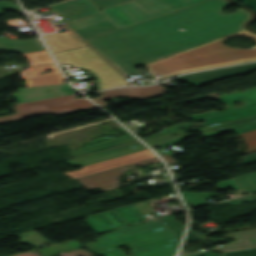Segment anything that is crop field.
<instances>
[{
    "instance_id": "730fd06b",
    "label": "crop field",
    "mask_w": 256,
    "mask_h": 256,
    "mask_svg": "<svg viewBox=\"0 0 256 256\" xmlns=\"http://www.w3.org/2000/svg\"><path fill=\"white\" fill-rule=\"evenodd\" d=\"M23 55L28 58L30 65L46 64V63L53 62V60L51 59L47 51L23 54Z\"/></svg>"
},
{
    "instance_id": "c21b1889",
    "label": "crop field",
    "mask_w": 256,
    "mask_h": 256,
    "mask_svg": "<svg viewBox=\"0 0 256 256\" xmlns=\"http://www.w3.org/2000/svg\"><path fill=\"white\" fill-rule=\"evenodd\" d=\"M161 157H163L168 164L176 162L171 158L169 154L161 155Z\"/></svg>"
},
{
    "instance_id": "00972430",
    "label": "crop field",
    "mask_w": 256,
    "mask_h": 256,
    "mask_svg": "<svg viewBox=\"0 0 256 256\" xmlns=\"http://www.w3.org/2000/svg\"><path fill=\"white\" fill-rule=\"evenodd\" d=\"M64 77L60 74L42 76L34 79L26 80V87L30 86H38V85H46V84H57L64 83Z\"/></svg>"
},
{
    "instance_id": "750c4746",
    "label": "crop field",
    "mask_w": 256,
    "mask_h": 256,
    "mask_svg": "<svg viewBox=\"0 0 256 256\" xmlns=\"http://www.w3.org/2000/svg\"><path fill=\"white\" fill-rule=\"evenodd\" d=\"M189 126H191V125L188 124L187 122H184V123H181V124H178V125H174V126L166 128L163 131H160L158 133L152 134L149 137L143 138V140H148V139H152V138H156V137H160V136H164V135L180 132L179 128L189 127ZM184 131H186V130H184Z\"/></svg>"
},
{
    "instance_id": "dd49c442",
    "label": "crop field",
    "mask_w": 256,
    "mask_h": 256,
    "mask_svg": "<svg viewBox=\"0 0 256 256\" xmlns=\"http://www.w3.org/2000/svg\"><path fill=\"white\" fill-rule=\"evenodd\" d=\"M158 202L155 199L132 204L119 209L102 212L87 216V220L94 231L99 232L143 220H147L143 215L153 213L150 208Z\"/></svg>"
},
{
    "instance_id": "34b2d1b8",
    "label": "crop field",
    "mask_w": 256,
    "mask_h": 256,
    "mask_svg": "<svg viewBox=\"0 0 256 256\" xmlns=\"http://www.w3.org/2000/svg\"><path fill=\"white\" fill-rule=\"evenodd\" d=\"M204 0H134L67 22L84 39Z\"/></svg>"
},
{
    "instance_id": "b54c1fbb",
    "label": "crop field",
    "mask_w": 256,
    "mask_h": 256,
    "mask_svg": "<svg viewBox=\"0 0 256 256\" xmlns=\"http://www.w3.org/2000/svg\"><path fill=\"white\" fill-rule=\"evenodd\" d=\"M246 152H247V154H248V153H252V152H256V149L248 150V151H246Z\"/></svg>"
},
{
    "instance_id": "d3111659",
    "label": "crop field",
    "mask_w": 256,
    "mask_h": 256,
    "mask_svg": "<svg viewBox=\"0 0 256 256\" xmlns=\"http://www.w3.org/2000/svg\"><path fill=\"white\" fill-rule=\"evenodd\" d=\"M173 233L181 238L184 227L172 216H165L159 218Z\"/></svg>"
},
{
    "instance_id": "b80d0937",
    "label": "crop field",
    "mask_w": 256,
    "mask_h": 256,
    "mask_svg": "<svg viewBox=\"0 0 256 256\" xmlns=\"http://www.w3.org/2000/svg\"><path fill=\"white\" fill-rule=\"evenodd\" d=\"M242 1L245 5L256 11V0H238Z\"/></svg>"
},
{
    "instance_id": "22f410ed",
    "label": "crop field",
    "mask_w": 256,
    "mask_h": 256,
    "mask_svg": "<svg viewBox=\"0 0 256 256\" xmlns=\"http://www.w3.org/2000/svg\"><path fill=\"white\" fill-rule=\"evenodd\" d=\"M50 8L59 14L62 23L101 12L90 0H73Z\"/></svg>"
},
{
    "instance_id": "bd1437ed",
    "label": "crop field",
    "mask_w": 256,
    "mask_h": 256,
    "mask_svg": "<svg viewBox=\"0 0 256 256\" xmlns=\"http://www.w3.org/2000/svg\"><path fill=\"white\" fill-rule=\"evenodd\" d=\"M239 135L242 136V138L247 146V150L256 147V130L246 132L243 134H239Z\"/></svg>"
},
{
    "instance_id": "c035e120",
    "label": "crop field",
    "mask_w": 256,
    "mask_h": 256,
    "mask_svg": "<svg viewBox=\"0 0 256 256\" xmlns=\"http://www.w3.org/2000/svg\"><path fill=\"white\" fill-rule=\"evenodd\" d=\"M184 136H186V135L183 134V135H180V136H178V137L172 138V139H170V140L164 141V142L159 143V144H156V145H168V144H170V143H173V142L178 141L180 138H182V137H184ZM151 147H152V146H151Z\"/></svg>"
},
{
    "instance_id": "bc2a9ffb",
    "label": "crop field",
    "mask_w": 256,
    "mask_h": 256,
    "mask_svg": "<svg viewBox=\"0 0 256 256\" xmlns=\"http://www.w3.org/2000/svg\"><path fill=\"white\" fill-rule=\"evenodd\" d=\"M43 38L45 39L52 52L86 45L69 29L66 33L45 35Z\"/></svg>"
},
{
    "instance_id": "d9b57169",
    "label": "crop field",
    "mask_w": 256,
    "mask_h": 256,
    "mask_svg": "<svg viewBox=\"0 0 256 256\" xmlns=\"http://www.w3.org/2000/svg\"><path fill=\"white\" fill-rule=\"evenodd\" d=\"M122 133H124L126 136L120 138H112L106 136L96 138L87 146L81 147L78 150L71 151V154L73 155V157H76L138 141L127 131H124Z\"/></svg>"
},
{
    "instance_id": "412701ff",
    "label": "crop field",
    "mask_w": 256,
    "mask_h": 256,
    "mask_svg": "<svg viewBox=\"0 0 256 256\" xmlns=\"http://www.w3.org/2000/svg\"><path fill=\"white\" fill-rule=\"evenodd\" d=\"M236 35L251 37L256 41L255 33L241 30L186 51L211 67L256 60V49H236L221 43L222 40Z\"/></svg>"
},
{
    "instance_id": "28ad6ade",
    "label": "crop field",
    "mask_w": 256,
    "mask_h": 256,
    "mask_svg": "<svg viewBox=\"0 0 256 256\" xmlns=\"http://www.w3.org/2000/svg\"><path fill=\"white\" fill-rule=\"evenodd\" d=\"M155 156L156 155L153 152H151L149 149H147V150L119 156L116 158L108 159V160L101 161L98 163L90 164L87 166H83L82 167L83 169H80L78 171H72V172H64V174L75 179V178L82 177V176H85L88 174H92V173H95L98 171H102L105 169L129 164V163H132L135 161H139V160H143V159H147V158H151V157H155Z\"/></svg>"
},
{
    "instance_id": "1d83c4d3",
    "label": "crop field",
    "mask_w": 256,
    "mask_h": 256,
    "mask_svg": "<svg viewBox=\"0 0 256 256\" xmlns=\"http://www.w3.org/2000/svg\"><path fill=\"white\" fill-rule=\"evenodd\" d=\"M94 2L100 9L122 4L131 0H91Z\"/></svg>"
},
{
    "instance_id": "03da06ac",
    "label": "crop field",
    "mask_w": 256,
    "mask_h": 256,
    "mask_svg": "<svg viewBox=\"0 0 256 256\" xmlns=\"http://www.w3.org/2000/svg\"><path fill=\"white\" fill-rule=\"evenodd\" d=\"M194 256H222V253L221 254H214V253H211V252L207 251L205 253L194 255Z\"/></svg>"
},
{
    "instance_id": "e1f06a70",
    "label": "crop field",
    "mask_w": 256,
    "mask_h": 256,
    "mask_svg": "<svg viewBox=\"0 0 256 256\" xmlns=\"http://www.w3.org/2000/svg\"><path fill=\"white\" fill-rule=\"evenodd\" d=\"M199 239L201 238L189 228L187 231L184 243L199 240Z\"/></svg>"
},
{
    "instance_id": "ae1a2a85",
    "label": "crop field",
    "mask_w": 256,
    "mask_h": 256,
    "mask_svg": "<svg viewBox=\"0 0 256 256\" xmlns=\"http://www.w3.org/2000/svg\"><path fill=\"white\" fill-rule=\"evenodd\" d=\"M100 89L127 84L120 74L97 80Z\"/></svg>"
},
{
    "instance_id": "3316defc",
    "label": "crop field",
    "mask_w": 256,
    "mask_h": 256,
    "mask_svg": "<svg viewBox=\"0 0 256 256\" xmlns=\"http://www.w3.org/2000/svg\"><path fill=\"white\" fill-rule=\"evenodd\" d=\"M156 162H160V159L157 157L132 164H139L144 166ZM127 166L128 165L105 170L82 178H78V180L87 190L100 187L103 191H105L119 186L118 179L122 174H124L125 168Z\"/></svg>"
},
{
    "instance_id": "d8731c3e",
    "label": "crop field",
    "mask_w": 256,
    "mask_h": 256,
    "mask_svg": "<svg viewBox=\"0 0 256 256\" xmlns=\"http://www.w3.org/2000/svg\"><path fill=\"white\" fill-rule=\"evenodd\" d=\"M58 63L66 62L91 71L95 76L115 74L116 71L88 46L53 53Z\"/></svg>"
},
{
    "instance_id": "028f5c9d",
    "label": "crop field",
    "mask_w": 256,
    "mask_h": 256,
    "mask_svg": "<svg viewBox=\"0 0 256 256\" xmlns=\"http://www.w3.org/2000/svg\"><path fill=\"white\" fill-rule=\"evenodd\" d=\"M235 240L256 234V229L229 233Z\"/></svg>"
},
{
    "instance_id": "dafd665d",
    "label": "crop field",
    "mask_w": 256,
    "mask_h": 256,
    "mask_svg": "<svg viewBox=\"0 0 256 256\" xmlns=\"http://www.w3.org/2000/svg\"><path fill=\"white\" fill-rule=\"evenodd\" d=\"M251 247H256V235L252 236V237L244 238V239H241V240H237V241H234V242H230V243H228L226 245H223V246H219V247H215V248H211V249H206V250L224 252V251L245 249V248H251ZM206 250H200V251H196V252H192V253H188V254H184V255H180V256H190V255L202 253Z\"/></svg>"
},
{
    "instance_id": "4177f3b9",
    "label": "crop field",
    "mask_w": 256,
    "mask_h": 256,
    "mask_svg": "<svg viewBox=\"0 0 256 256\" xmlns=\"http://www.w3.org/2000/svg\"><path fill=\"white\" fill-rule=\"evenodd\" d=\"M21 238V241L23 243L31 244L33 247H40L43 246V244L49 242L46 239H44L42 236L37 234L35 231L23 233L17 235ZM40 236V237H37Z\"/></svg>"
},
{
    "instance_id": "e52e79f7",
    "label": "crop field",
    "mask_w": 256,
    "mask_h": 256,
    "mask_svg": "<svg viewBox=\"0 0 256 256\" xmlns=\"http://www.w3.org/2000/svg\"><path fill=\"white\" fill-rule=\"evenodd\" d=\"M220 99L223 103H228V110L213 111L190 118L194 121L204 119L205 122L199 125L208 126L256 115V88L221 96ZM240 100L246 105L234 108L232 103Z\"/></svg>"
},
{
    "instance_id": "120bbe31",
    "label": "crop field",
    "mask_w": 256,
    "mask_h": 256,
    "mask_svg": "<svg viewBox=\"0 0 256 256\" xmlns=\"http://www.w3.org/2000/svg\"><path fill=\"white\" fill-rule=\"evenodd\" d=\"M223 256H256V248L225 252Z\"/></svg>"
},
{
    "instance_id": "ac0d7876",
    "label": "crop field",
    "mask_w": 256,
    "mask_h": 256,
    "mask_svg": "<svg viewBox=\"0 0 256 256\" xmlns=\"http://www.w3.org/2000/svg\"><path fill=\"white\" fill-rule=\"evenodd\" d=\"M97 242L84 245L92 253L104 256H125L117 247L131 248V256H172L180 239L159 219L116 229L98 237ZM82 247L76 240L39 250L42 255L56 254Z\"/></svg>"
},
{
    "instance_id": "d1516ede",
    "label": "crop field",
    "mask_w": 256,
    "mask_h": 256,
    "mask_svg": "<svg viewBox=\"0 0 256 256\" xmlns=\"http://www.w3.org/2000/svg\"><path fill=\"white\" fill-rule=\"evenodd\" d=\"M244 70H248V71L256 70V63L246 64V65H241V66H236V67H230V68L204 71V72H199V73H193V74L178 76V77H176V79L178 81L197 86V85H201V84L215 81L218 79L237 75Z\"/></svg>"
},
{
    "instance_id": "8a807250",
    "label": "crop field",
    "mask_w": 256,
    "mask_h": 256,
    "mask_svg": "<svg viewBox=\"0 0 256 256\" xmlns=\"http://www.w3.org/2000/svg\"><path fill=\"white\" fill-rule=\"evenodd\" d=\"M230 4L227 0L204 1L85 41L124 76L138 75L141 73L134 65L243 29L250 13L239 8L235 13L221 14Z\"/></svg>"
},
{
    "instance_id": "f4fd0767",
    "label": "crop field",
    "mask_w": 256,
    "mask_h": 256,
    "mask_svg": "<svg viewBox=\"0 0 256 256\" xmlns=\"http://www.w3.org/2000/svg\"><path fill=\"white\" fill-rule=\"evenodd\" d=\"M91 108H96V106L85 98L76 99L74 94H71L15 105L14 109L17 114L0 117V123L46 113L64 114Z\"/></svg>"
},
{
    "instance_id": "4a817a6b",
    "label": "crop field",
    "mask_w": 256,
    "mask_h": 256,
    "mask_svg": "<svg viewBox=\"0 0 256 256\" xmlns=\"http://www.w3.org/2000/svg\"><path fill=\"white\" fill-rule=\"evenodd\" d=\"M253 129H256V116L200 129L199 131L202 133L203 137H205L229 130L239 134Z\"/></svg>"
},
{
    "instance_id": "5866460e",
    "label": "crop field",
    "mask_w": 256,
    "mask_h": 256,
    "mask_svg": "<svg viewBox=\"0 0 256 256\" xmlns=\"http://www.w3.org/2000/svg\"><path fill=\"white\" fill-rule=\"evenodd\" d=\"M6 9L13 10L15 12L21 13V10L18 5L12 3V2H7V1H0V12Z\"/></svg>"
},
{
    "instance_id": "0bd39190",
    "label": "crop field",
    "mask_w": 256,
    "mask_h": 256,
    "mask_svg": "<svg viewBox=\"0 0 256 256\" xmlns=\"http://www.w3.org/2000/svg\"><path fill=\"white\" fill-rule=\"evenodd\" d=\"M182 134H183V133H182ZM178 135H180V134H178ZM178 135H175V136H178ZM175 136L171 135V136L164 137V138H160V139H155V140H151V141H146L145 143L148 144L149 146H151V145H154V144H156V143H159V142H162V141H164V140H167V139H170V138H172V137H175Z\"/></svg>"
},
{
    "instance_id": "5d738f31",
    "label": "crop field",
    "mask_w": 256,
    "mask_h": 256,
    "mask_svg": "<svg viewBox=\"0 0 256 256\" xmlns=\"http://www.w3.org/2000/svg\"><path fill=\"white\" fill-rule=\"evenodd\" d=\"M61 1H63V0H61Z\"/></svg>"
},
{
    "instance_id": "d32e631a",
    "label": "crop field",
    "mask_w": 256,
    "mask_h": 256,
    "mask_svg": "<svg viewBox=\"0 0 256 256\" xmlns=\"http://www.w3.org/2000/svg\"><path fill=\"white\" fill-rule=\"evenodd\" d=\"M253 200H256V195L240 197V198L233 199L231 201L220 202L219 204H230V205L234 206L236 204L245 203V202H249V201H253Z\"/></svg>"
},
{
    "instance_id": "733c2abd",
    "label": "crop field",
    "mask_w": 256,
    "mask_h": 256,
    "mask_svg": "<svg viewBox=\"0 0 256 256\" xmlns=\"http://www.w3.org/2000/svg\"><path fill=\"white\" fill-rule=\"evenodd\" d=\"M143 149H147V147H145L141 143H137V144H131V145H126V146L102 151L99 153L91 154L88 156L76 158V159L65 161V162L70 165L83 166V165H87V164L94 163L97 161L105 160L108 158H112L115 156L131 153V152H135V151H139V150H143Z\"/></svg>"
},
{
    "instance_id": "a9b5d70f",
    "label": "crop field",
    "mask_w": 256,
    "mask_h": 256,
    "mask_svg": "<svg viewBox=\"0 0 256 256\" xmlns=\"http://www.w3.org/2000/svg\"><path fill=\"white\" fill-rule=\"evenodd\" d=\"M46 70H53V72L48 73V74H54V73L60 72L59 69L56 67V65L30 67L21 72V78L28 79V78H33V77H37V76H42V75H37V73L41 72V71H46ZM48 74H44V75H48Z\"/></svg>"
},
{
    "instance_id": "5142ce71",
    "label": "crop field",
    "mask_w": 256,
    "mask_h": 256,
    "mask_svg": "<svg viewBox=\"0 0 256 256\" xmlns=\"http://www.w3.org/2000/svg\"><path fill=\"white\" fill-rule=\"evenodd\" d=\"M19 90L20 93L12 94L18 103L68 94L72 93L74 89L69 84H58L31 88H20Z\"/></svg>"
},
{
    "instance_id": "214f88e0",
    "label": "crop field",
    "mask_w": 256,
    "mask_h": 256,
    "mask_svg": "<svg viewBox=\"0 0 256 256\" xmlns=\"http://www.w3.org/2000/svg\"><path fill=\"white\" fill-rule=\"evenodd\" d=\"M0 50L29 53L46 49L40 39L14 40L0 38Z\"/></svg>"
},
{
    "instance_id": "eef30255",
    "label": "crop field",
    "mask_w": 256,
    "mask_h": 256,
    "mask_svg": "<svg viewBox=\"0 0 256 256\" xmlns=\"http://www.w3.org/2000/svg\"><path fill=\"white\" fill-rule=\"evenodd\" d=\"M185 202H191L196 205L206 203L204 200L205 198L213 195V193H190V192H182L181 193ZM205 205V204H204Z\"/></svg>"
},
{
    "instance_id": "cbeb9de0",
    "label": "crop field",
    "mask_w": 256,
    "mask_h": 256,
    "mask_svg": "<svg viewBox=\"0 0 256 256\" xmlns=\"http://www.w3.org/2000/svg\"><path fill=\"white\" fill-rule=\"evenodd\" d=\"M158 85L150 86V87H135V88H117L108 91H103L100 93L101 97L93 98L97 104L101 107L105 108L106 105L102 101L114 97V96H123L135 99H146L158 95H162L165 93L164 88Z\"/></svg>"
},
{
    "instance_id": "92a150f3",
    "label": "crop field",
    "mask_w": 256,
    "mask_h": 256,
    "mask_svg": "<svg viewBox=\"0 0 256 256\" xmlns=\"http://www.w3.org/2000/svg\"><path fill=\"white\" fill-rule=\"evenodd\" d=\"M254 177H256V173L222 181L219 182L217 186L218 188L232 187L237 191V193L241 191L252 193L256 192V180ZM250 182H252L253 184H251Z\"/></svg>"
},
{
    "instance_id": "5a996713",
    "label": "crop field",
    "mask_w": 256,
    "mask_h": 256,
    "mask_svg": "<svg viewBox=\"0 0 256 256\" xmlns=\"http://www.w3.org/2000/svg\"><path fill=\"white\" fill-rule=\"evenodd\" d=\"M146 66L155 75L160 74L161 77L159 79L182 72L209 68L185 50L146 64Z\"/></svg>"
}]
</instances>
